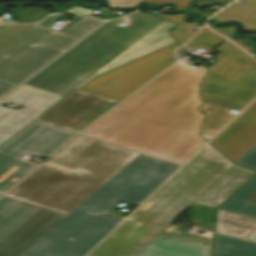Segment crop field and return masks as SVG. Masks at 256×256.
Masks as SVG:
<instances>
[{"label": "crop field", "mask_w": 256, "mask_h": 256, "mask_svg": "<svg viewBox=\"0 0 256 256\" xmlns=\"http://www.w3.org/2000/svg\"><path fill=\"white\" fill-rule=\"evenodd\" d=\"M182 48L178 49L176 54H177V57L179 58V61L181 60L180 58L183 57V56H186L187 53L185 51L182 50ZM191 57H188L187 61L184 63L185 65H191L193 64L194 62H192L191 60Z\"/></svg>", "instance_id": "750c4746"}, {"label": "crop field", "mask_w": 256, "mask_h": 256, "mask_svg": "<svg viewBox=\"0 0 256 256\" xmlns=\"http://www.w3.org/2000/svg\"><path fill=\"white\" fill-rule=\"evenodd\" d=\"M118 101L73 90L35 121L77 133Z\"/></svg>", "instance_id": "28ad6ade"}, {"label": "crop field", "mask_w": 256, "mask_h": 256, "mask_svg": "<svg viewBox=\"0 0 256 256\" xmlns=\"http://www.w3.org/2000/svg\"><path fill=\"white\" fill-rule=\"evenodd\" d=\"M101 23L82 18L62 33L33 26L0 52V98Z\"/></svg>", "instance_id": "e52e79f7"}, {"label": "crop field", "mask_w": 256, "mask_h": 256, "mask_svg": "<svg viewBox=\"0 0 256 256\" xmlns=\"http://www.w3.org/2000/svg\"><path fill=\"white\" fill-rule=\"evenodd\" d=\"M244 38V37H243ZM254 43V42H253ZM255 46V45H254ZM256 48V47H255ZM255 50V49H254ZM254 50H252V52L254 51ZM250 53V52H249Z\"/></svg>", "instance_id": "120bbe31"}, {"label": "crop field", "mask_w": 256, "mask_h": 256, "mask_svg": "<svg viewBox=\"0 0 256 256\" xmlns=\"http://www.w3.org/2000/svg\"><path fill=\"white\" fill-rule=\"evenodd\" d=\"M177 42L96 77L79 90L121 101L174 63Z\"/></svg>", "instance_id": "3316defc"}, {"label": "crop field", "mask_w": 256, "mask_h": 256, "mask_svg": "<svg viewBox=\"0 0 256 256\" xmlns=\"http://www.w3.org/2000/svg\"><path fill=\"white\" fill-rule=\"evenodd\" d=\"M256 227V218L218 209L216 232L243 238Z\"/></svg>", "instance_id": "d9b57169"}, {"label": "crop field", "mask_w": 256, "mask_h": 256, "mask_svg": "<svg viewBox=\"0 0 256 256\" xmlns=\"http://www.w3.org/2000/svg\"><path fill=\"white\" fill-rule=\"evenodd\" d=\"M140 153L78 135L5 196L68 214Z\"/></svg>", "instance_id": "412701ff"}, {"label": "crop field", "mask_w": 256, "mask_h": 256, "mask_svg": "<svg viewBox=\"0 0 256 256\" xmlns=\"http://www.w3.org/2000/svg\"><path fill=\"white\" fill-rule=\"evenodd\" d=\"M143 1H152L156 3L172 2V3H176L175 8L185 9V7L187 6L190 0H143Z\"/></svg>", "instance_id": "eef30255"}, {"label": "crop field", "mask_w": 256, "mask_h": 256, "mask_svg": "<svg viewBox=\"0 0 256 256\" xmlns=\"http://www.w3.org/2000/svg\"><path fill=\"white\" fill-rule=\"evenodd\" d=\"M33 25L7 26L0 30V51Z\"/></svg>", "instance_id": "00972430"}, {"label": "crop field", "mask_w": 256, "mask_h": 256, "mask_svg": "<svg viewBox=\"0 0 256 256\" xmlns=\"http://www.w3.org/2000/svg\"><path fill=\"white\" fill-rule=\"evenodd\" d=\"M208 26L212 30H214V31L220 33L221 35L231 39L232 41H234L236 44L241 46L246 51L254 49V46L252 45L251 42L246 40V37L244 39H237V40H234V39L231 38V35L237 30V29H234V26H231V27H228V28H216L215 26H213L209 23H208Z\"/></svg>", "instance_id": "a9b5d70f"}, {"label": "crop field", "mask_w": 256, "mask_h": 256, "mask_svg": "<svg viewBox=\"0 0 256 256\" xmlns=\"http://www.w3.org/2000/svg\"><path fill=\"white\" fill-rule=\"evenodd\" d=\"M223 40L224 38L214 34L206 28H203L193 39L190 41L186 47L187 49L194 51L198 48L207 50L211 52L214 50Z\"/></svg>", "instance_id": "92a150f3"}, {"label": "crop field", "mask_w": 256, "mask_h": 256, "mask_svg": "<svg viewBox=\"0 0 256 256\" xmlns=\"http://www.w3.org/2000/svg\"><path fill=\"white\" fill-rule=\"evenodd\" d=\"M233 164L208 144L89 256H135Z\"/></svg>", "instance_id": "f4fd0767"}, {"label": "crop field", "mask_w": 256, "mask_h": 256, "mask_svg": "<svg viewBox=\"0 0 256 256\" xmlns=\"http://www.w3.org/2000/svg\"><path fill=\"white\" fill-rule=\"evenodd\" d=\"M256 172L233 165L220 179L206 190L194 203L217 208L236 189Z\"/></svg>", "instance_id": "cbeb9de0"}, {"label": "crop field", "mask_w": 256, "mask_h": 256, "mask_svg": "<svg viewBox=\"0 0 256 256\" xmlns=\"http://www.w3.org/2000/svg\"><path fill=\"white\" fill-rule=\"evenodd\" d=\"M216 51L218 60L207 68L200 87L206 101L201 106L206 113L201 135L207 141L237 115L230 110L241 111L256 97V61L228 41Z\"/></svg>", "instance_id": "dd49c442"}, {"label": "crop field", "mask_w": 256, "mask_h": 256, "mask_svg": "<svg viewBox=\"0 0 256 256\" xmlns=\"http://www.w3.org/2000/svg\"><path fill=\"white\" fill-rule=\"evenodd\" d=\"M207 246L155 237L136 256H210Z\"/></svg>", "instance_id": "5142ce71"}, {"label": "crop field", "mask_w": 256, "mask_h": 256, "mask_svg": "<svg viewBox=\"0 0 256 256\" xmlns=\"http://www.w3.org/2000/svg\"><path fill=\"white\" fill-rule=\"evenodd\" d=\"M74 134L33 121L0 146V194L37 166L22 155L47 157Z\"/></svg>", "instance_id": "d8731c3e"}, {"label": "crop field", "mask_w": 256, "mask_h": 256, "mask_svg": "<svg viewBox=\"0 0 256 256\" xmlns=\"http://www.w3.org/2000/svg\"><path fill=\"white\" fill-rule=\"evenodd\" d=\"M231 1L232 0H197L195 6H197L200 9L208 7V6L216 4V3H220L222 6H224Z\"/></svg>", "instance_id": "730fd06b"}, {"label": "crop field", "mask_w": 256, "mask_h": 256, "mask_svg": "<svg viewBox=\"0 0 256 256\" xmlns=\"http://www.w3.org/2000/svg\"><path fill=\"white\" fill-rule=\"evenodd\" d=\"M237 164L256 171V160L237 162Z\"/></svg>", "instance_id": "ae1a2a85"}, {"label": "crop field", "mask_w": 256, "mask_h": 256, "mask_svg": "<svg viewBox=\"0 0 256 256\" xmlns=\"http://www.w3.org/2000/svg\"><path fill=\"white\" fill-rule=\"evenodd\" d=\"M256 159V145L239 161Z\"/></svg>", "instance_id": "d3111659"}, {"label": "crop field", "mask_w": 256, "mask_h": 256, "mask_svg": "<svg viewBox=\"0 0 256 256\" xmlns=\"http://www.w3.org/2000/svg\"><path fill=\"white\" fill-rule=\"evenodd\" d=\"M111 7H135L139 5V0H107Z\"/></svg>", "instance_id": "4177f3b9"}, {"label": "crop field", "mask_w": 256, "mask_h": 256, "mask_svg": "<svg viewBox=\"0 0 256 256\" xmlns=\"http://www.w3.org/2000/svg\"><path fill=\"white\" fill-rule=\"evenodd\" d=\"M64 216L3 196L0 199V256H17Z\"/></svg>", "instance_id": "5a996713"}, {"label": "crop field", "mask_w": 256, "mask_h": 256, "mask_svg": "<svg viewBox=\"0 0 256 256\" xmlns=\"http://www.w3.org/2000/svg\"><path fill=\"white\" fill-rule=\"evenodd\" d=\"M159 16L164 17L176 23L177 27L174 28L172 31H170V33L179 42H181V44L189 40L191 36L198 30L197 28L198 27L200 28L202 26L198 24L196 20H194V22L191 24L189 23L185 24V22H188V21H184V19H186L184 14H180V15H160L159 14ZM193 29H197V30L194 32L192 31Z\"/></svg>", "instance_id": "214f88e0"}, {"label": "crop field", "mask_w": 256, "mask_h": 256, "mask_svg": "<svg viewBox=\"0 0 256 256\" xmlns=\"http://www.w3.org/2000/svg\"><path fill=\"white\" fill-rule=\"evenodd\" d=\"M61 98L63 96L23 84L8 97L1 100L20 104L24 107L20 110L8 109L1 106L3 103L0 102V145Z\"/></svg>", "instance_id": "d1516ede"}, {"label": "crop field", "mask_w": 256, "mask_h": 256, "mask_svg": "<svg viewBox=\"0 0 256 256\" xmlns=\"http://www.w3.org/2000/svg\"><path fill=\"white\" fill-rule=\"evenodd\" d=\"M110 21L48 65L25 84L60 95L78 89L94 76L172 42L173 23L137 12L127 17L129 27Z\"/></svg>", "instance_id": "34b2d1b8"}, {"label": "crop field", "mask_w": 256, "mask_h": 256, "mask_svg": "<svg viewBox=\"0 0 256 256\" xmlns=\"http://www.w3.org/2000/svg\"><path fill=\"white\" fill-rule=\"evenodd\" d=\"M205 72L175 64L80 135L182 165L206 142L198 136Z\"/></svg>", "instance_id": "8a807250"}, {"label": "crop field", "mask_w": 256, "mask_h": 256, "mask_svg": "<svg viewBox=\"0 0 256 256\" xmlns=\"http://www.w3.org/2000/svg\"><path fill=\"white\" fill-rule=\"evenodd\" d=\"M247 240L256 241V231L247 238Z\"/></svg>", "instance_id": "1d83c4d3"}, {"label": "crop field", "mask_w": 256, "mask_h": 256, "mask_svg": "<svg viewBox=\"0 0 256 256\" xmlns=\"http://www.w3.org/2000/svg\"><path fill=\"white\" fill-rule=\"evenodd\" d=\"M116 206V205H115ZM113 207L112 209L109 210V212H105L104 215H108V216H111V217H114V218H118V219H121L123 220L125 218V216H121V215H118V214H114L112 213L117 207Z\"/></svg>", "instance_id": "bd1437ed"}, {"label": "crop field", "mask_w": 256, "mask_h": 256, "mask_svg": "<svg viewBox=\"0 0 256 256\" xmlns=\"http://www.w3.org/2000/svg\"><path fill=\"white\" fill-rule=\"evenodd\" d=\"M247 4H232L214 16L220 22L234 20L242 23L243 28L249 31L256 30V0H246Z\"/></svg>", "instance_id": "4a817a6b"}, {"label": "crop field", "mask_w": 256, "mask_h": 256, "mask_svg": "<svg viewBox=\"0 0 256 256\" xmlns=\"http://www.w3.org/2000/svg\"><path fill=\"white\" fill-rule=\"evenodd\" d=\"M215 256H256V244L215 234Z\"/></svg>", "instance_id": "bc2a9ffb"}, {"label": "crop field", "mask_w": 256, "mask_h": 256, "mask_svg": "<svg viewBox=\"0 0 256 256\" xmlns=\"http://www.w3.org/2000/svg\"><path fill=\"white\" fill-rule=\"evenodd\" d=\"M179 167L139 155L18 256H83L121 222L106 210L121 200L139 204Z\"/></svg>", "instance_id": "ac0d7876"}, {"label": "crop field", "mask_w": 256, "mask_h": 256, "mask_svg": "<svg viewBox=\"0 0 256 256\" xmlns=\"http://www.w3.org/2000/svg\"><path fill=\"white\" fill-rule=\"evenodd\" d=\"M233 162L256 144V101L210 142Z\"/></svg>", "instance_id": "22f410ed"}, {"label": "crop field", "mask_w": 256, "mask_h": 256, "mask_svg": "<svg viewBox=\"0 0 256 256\" xmlns=\"http://www.w3.org/2000/svg\"><path fill=\"white\" fill-rule=\"evenodd\" d=\"M220 208L256 217V175Z\"/></svg>", "instance_id": "733c2abd"}, {"label": "crop field", "mask_w": 256, "mask_h": 256, "mask_svg": "<svg viewBox=\"0 0 256 256\" xmlns=\"http://www.w3.org/2000/svg\"><path fill=\"white\" fill-rule=\"evenodd\" d=\"M9 10L20 23L37 22L50 12L35 7L14 8Z\"/></svg>", "instance_id": "dafd665d"}]
</instances>
